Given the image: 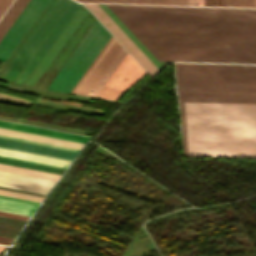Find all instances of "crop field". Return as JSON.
I'll return each instance as SVG.
<instances>
[{
  "label": "crop field",
  "instance_id": "obj_1",
  "mask_svg": "<svg viewBox=\"0 0 256 256\" xmlns=\"http://www.w3.org/2000/svg\"><path fill=\"white\" fill-rule=\"evenodd\" d=\"M176 69L185 155L256 158V65Z\"/></svg>",
  "mask_w": 256,
  "mask_h": 256
},
{
  "label": "crop field",
  "instance_id": "obj_2",
  "mask_svg": "<svg viewBox=\"0 0 256 256\" xmlns=\"http://www.w3.org/2000/svg\"><path fill=\"white\" fill-rule=\"evenodd\" d=\"M106 5L158 60L256 63V9Z\"/></svg>",
  "mask_w": 256,
  "mask_h": 256
},
{
  "label": "crop field",
  "instance_id": "obj_3",
  "mask_svg": "<svg viewBox=\"0 0 256 256\" xmlns=\"http://www.w3.org/2000/svg\"><path fill=\"white\" fill-rule=\"evenodd\" d=\"M71 3L72 0H49L0 66V79L14 81Z\"/></svg>",
  "mask_w": 256,
  "mask_h": 256
},
{
  "label": "crop field",
  "instance_id": "obj_4",
  "mask_svg": "<svg viewBox=\"0 0 256 256\" xmlns=\"http://www.w3.org/2000/svg\"><path fill=\"white\" fill-rule=\"evenodd\" d=\"M95 20L81 5L25 83L47 87Z\"/></svg>",
  "mask_w": 256,
  "mask_h": 256
},
{
  "label": "crop field",
  "instance_id": "obj_5",
  "mask_svg": "<svg viewBox=\"0 0 256 256\" xmlns=\"http://www.w3.org/2000/svg\"><path fill=\"white\" fill-rule=\"evenodd\" d=\"M110 36L96 20L47 89L71 91Z\"/></svg>",
  "mask_w": 256,
  "mask_h": 256
},
{
  "label": "crop field",
  "instance_id": "obj_6",
  "mask_svg": "<svg viewBox=\"0 0 256 256\" xmlns=\"http://www.w3.org/2000/svg\"><path fill=\"white\" fill-rule=\"evenodd\" d=\"M126 53L111 36L72 92L96 96Z\"/></svg>",
  "mask_w": 256,
  "mask_h": 256
},
{
  "label": "crop field",
  "instance_id": "obj_7",
  "mask_svg": "<svg viewBox=\"0 0 256 256\" xmlns=\"http://www.w3.org/2000/svg\"><path fill=\"white\" fill-rule=\"evenodd\" d=\"M146 72L127 53L97 97L117 101Z\"/></svg>",
  "mask_w": 256,
  "mask_h": 256
},
{
  "label": "crop field",
  "instance_id": "obj_8",
  "mask_svg": "<svg viewBox=\"0 0 256 256\" xmlns=\"http://www.w3.org/2000/svg\"><path fill=\"white\" fill-rule=\"evenodd\" d=\"M48 0H31L0 41V60L4 61Z\"/></svg>",
  "mask_w": 256,
  "mask_h": 256
},
{
  "label": "crop field",
  "instance_id": "obj_9",
  "mask_svg": "<svg viewBox=\"0 0 256 256\" xmlns=\"http://www.w3.org/2000/svg\"><path fill=\"white\" fill-rule=\"evenodd\" d=\"M83 4L96 16V18L111 32V34L126 48V50L146 71L152 74L159 71L97 4Z\"/></svg>",
  "mask_w": 256,
  "mask_h": 256
},
{
  "label": "crop field",
  "instance_id": "obj_10",
  "mask_svg": "<svg viewBox=\"0 0 256 256\" xmlns=\"http://www.w3.org/2000/svg\"><path fill=\"white\" fill-rule=\"evenodd\" d=\"M81 4L73 1L14 82L23 84Z\"/></svg>",
  "mask_w": 256,
  "mask_h": 256
},
{
  "label": "crop field",
  "instance_id": "obj_11",
  "mask_svg": "<svg viewBox=\"0 0 256 256\" xmlns=\"http://www.w3.org/2000/svg\"><path fill=\"white\" fill-rule=\"evenodd\" d=\"M54 181L27 177L0 171V185L47 194Z\"/></svg>",
  "mask_w": 256,
  "mask_h": 256
},
{
  "label": "crop field",
  "instance_id": "obj_12",
  "mask_svg": "<svg viewBox=\"0 0 256 256\" xmlns=\"http://www.w3.org/2000/svg\"><path fill=\"white\" fill-rule=\"evenodd\" d=\"M0 146L11 148V149L27 151V152L43 154V155L59 157V158H65L70 160H73V158L77 154L76 151L65 150V149L33 144V143H28L23 141H17V140L1 138V137H0Z\"/></svg>",
  "mask_w": 256,
  "mask_h": 256
},
{
  "label": "crop field",
  "instance_id": "obj_13",
  "mask_svg": "<svg viewBox=\"0 0 256 256\" xmlns=\"http://www.w3.org/2000/svg\"><path fill=\"white\" fill-rule=\"evenodd\" d=\"M0 155L17 158V159L33 161V162H38V163H43V164L64 167V168H67L68 165L71 163L70 160L59 159V158H54V157H49V156H43V155H38V154H33V153H27V152H22V151H17V150H11V149L1 148V147H0Z\"/></svg>",
  "mask_w": 256,
  "mask_h": 256
},
{
  "label": "crop field",
  "instance_id": "obj_14",
  "mask_svg": "<svg viewBox=\"0 0 256 256\" xmlns=\"http://www.w3.org/2000/svg\"><path fill=\"white\" fill-rule=\"evenodd\" d=\"M0 121L7 122V121H2V120H0ZM1 122H0V127H3V128L19 130V131H24V132L34 133V134H40V135H45V136H50V137H55V138H61V139H66V140H71V141H77V142H82V143H86V141L88 140L87 138H90L87 136L76 135V134H71V133H66V132H60V131H55V130H50V129H44V128H39V127H34V126H28V125H23V124H18V123L7 122V123H12V124L23 125V126L39 128V129H44V130H49V131H55V132H60V133H65V134H71V135L87 137V138H81V137H76V136H71V135H65V134H60V133H55V132H49V131H44V130H39V129H33V128H28V127H23V126L1 123Z\"/></svg>",
  "mask_w": 256,
  "mask_h": 256
},
{
  "label": "crop field",
  "instance_id": "obj_15",
  "mask_svg": "<svg viewBox=\"0 0 256 256\" xmlns=\"http://www.w3.org/2000/svg\"><path fill=\"white\" fill-rule=\"evenodd\" d=\"M0 134L29 139V140H35V141H40V142H45L50 144H56V145H61L66 147H72L77 149H80L81 146L83 145L82 143L71 142V141L39 136V135H34L29 133H23V132H18L13 130H7L2 128H0Z\"/></svg>",
  "mask_w": 256,
  "mask_h": 256
},
{
  "label": "crop field",
  "instance_id": "obj_16",
  "mask_svg": "<svg viewBox=\"0 0 256 256\" xmlns=\"http://www.w3.org/2000/svg\"><path fill=\"white\" fill-rule=\"evenodd\" d=\"M30 0H15L0 20V39Z\"/></svg>",
  "mask_w": 256,
  "mask_h": 256
},
{
  "label": "crop field",
  "instance_id": "obj_17",
  "mask_svg": "<svg viewBox=\"0 0 256 256\" xmlns=\"http://www.w3.org/2000/svg\"><path fill=\"white\" fill-rule=\"evenodd\" d=\"M98 5L121 28V30L136 44V46L152 61V63L160 70L163 66L141 44V42L126 28V26L111 12V10L105 4H98Z\"/></svg>",
  "mask_w": 256,
  "mask_h": 256
},
{
  "label": "crop field",
  "instance_id": "obj_18",
  "mask_svg": "<svg viewBox=\"0 0 256 256\" xmlns=\"http://www.w3.org/2000/svg\"><path fill=\"white\" fill-rule=\"evenodd\" d=\"M0 170L6 171V172L22 174V175H27V176L43 178V179L54 180V181H57V179L60 177L59 174L48 173V172H43V171H38V170H32V169H27V168H22V167H16V166H11V165H6V164H0Z\"/></svg>",
  "mask_w": 256,
  "mask_h": 256
},
{
  "label": "crop field",
  "instance_id": "obj_19",
  "mask_svg": "<svg viewBox=\"0 0 256 256\" xmlns=\"http://www.w3.org/2000/svg\"><path fill=\"white\" fill-rule=\"evenodd\" d=\"M36 208V205L0 199V211L30 216Z\"/></svg>",
  "mask_w": 256,
  "mask_h": 256
},
{
  "label": "crop field",
  "instance_id": "obj_20",
  "mask_svg": "<svg viewBox=\"0 0 256 256\" xmlns=\"http://www.w3.org/2000/svg\"><path fill=\"white\" fill-rule=\"evenodd\" d=\"M0 163H6V164H11V165H16V166H22V167H27V168H32V169H38V170H43V171H48V172L59 173V174H62L63 171L65 170L64 168L43 165V164H38V163H33V162H28V161H23V160H17V159H12V158H7V157H1V156H0Z\"/></svg>",
  "mask_w": 256,
  "mask_h": 256
},
{
  "label": "crop field",
  "instance_id": "obj_21",
  "mask_svg": "<svg viewBox=\"0 0 256 256\" xmlns=\"http://www.w3.org/2000/svg\"><path fill=\"white\" fill-rule=\"evenodd\" d=\"M149 4H168V0H149ZM169 4L188 5V0H169Z\"/></svg>",
  "mask_w": 256,
  "mask_h": 256
},
{
  "label": "crop field",
  "instance_id": "obj_22",
  "mask_svg": "<svg viewBox=\"0 0 256 256\" xmlns=\"http://www.w3.org/2000/svg\"><path fill=\"white\" fill-rule=\"evenodd\" d=\"M235 6L254 7V0H235Z\"/></svg>",
  "mask_w": 256,
  "mask_h": 256
},
{
  "label": "crop field",
  "instance_id": "obj_23",
  "mask_svg": "<svg viewBox=\"0 0 256 256\" xmlns=\"http://www.w3.org/2000/svg\"><path fill=\"white\" fill-rule=\"evenodd\" d=\"M205 5L227 6V0H205Z\"/></svg>",
  "mask_w": 256,
  "mask_h": 256
},
{
  "label": "crop field",
  "instance_id": "obj_24",
  "mask_svg": "<svg viewBox=\"0 0 256 256\" xmlns=\"http://www.w3.org/2000/svg\"><path fill=\"white\" fill-rule=\"evenodd\" d=\"M11 2L12 0H0V16L3 14V12L6 10Z\"/></svg>",
  "mask_w": 256,
  "mask_h": 256
},
{
  "label": "crop field",
  "instance_id": "obj_25",
  "mask_svg": "<svg viewBox=\"0 0 256 256\" xmlns=\"http://www.w3.org/2000/svg\"><path fill=\"white\" fill-rule=\"evenodd\" d=\"M0 215L7 216V217L18 218V219H24V220H27V218H28L27 216L16 215V214H11V213H6V212H0Z\"/></svg>",
  "mask_w": 256,
  "mask_h": 256
},
{
  "label": "crop field",
  "instance_id": "obj_26",
  "mask_svg": "<svg viewBox=\"0 0 256 256\" xmlns=\"http://www.w3.org/2000/svg\"><path fill=\"white\" fill-rule=\"evenodd\" d=\"M0 136H2V137H7V138H12V139H17V140H23V141H28V142H33V143H39V144H44V145L55 146V147H60V148H65V149H71V150H76V151H78L77 149H72V148H66V147H61V146H56V145H50V144H45V143H40V142H35V141H29V140L14 138V137H8V136H3V135H0Z\"/></svg>",
  "mask_w": 256,
  "mask_h": 256
},
{
  "label": "crop field",
  "instance_id": "obj_27",
  "mask_svg": "<svg viewBox=\"0 0 256 256\" xmlns=\"http://www.w3.org/2000/svg\"><path fill=\"white\" fill-rule=\"evenodd\" d=\"M0 198H4V199H9V200H15V201H20V202H25V203H31V204L39 205L38 202L27 201V200H22V199H17V198H11V197L1 196V195H0Z\"/></svg>",
  "mask_w": 256,
  "mask_h": 256
},
{
  "label": "crop field",
  "instance_id": "obj_28",
  "mask_svg": "<svg viewBox=\"0 0 256 256\" xmlns=\"http://www.w3.org/2000/svg\"><path fill=\"white\" fill-rule=\"evenodd\" d=\"M101 2H111V3H132V0H101Z\"/></svg>",
  "mask_w": 256,
  "mask_h": 256
},
{
  "label": "crop field",
  "instance_id": "obj_29",
  "mask_svg": "<svg viewBox=\"0 0 256 256\" xmlns=\"http://www.w3.org/2000/svg\"><path fill=\"white\" fill-rule=\"evenodd\" d=\"M13 241L12 238L2 237L0 236V243L10 245Z\"/></svg>",
  "mask_w": 256,
  "mask_h": 256
},
{
  "label": "crop field",
  "instance_id": "obj_30",
  "mask_svg": "<svg viewBox=\"0 0 256 256\" xmlns=\"http://www.w3.org/2000/svg\"><path fill=\"white\" fill-rule=\"evenodd\" d=\"M133 3L148 4V0H133Z\"/></svg>",
  "mask_w": 256,
  "mask_h": 256
},
{
  "label": "crop field",
  "instance_id": "obj_31",
  "mask_svg": "<svg viewBox=\"0 0 256 256\" xmlns=\"http://www.w3.org/2000/svg\"><path fill=\"white\" fill-rule=\"evenodd\" d=\"M228 6H234V0H228Z\"/></svg>",
  "mask_w": 256,
  "mask_h": 256
},
{
  "label": "crop field",
  "instance_id": "obj_32",
  "mask_svg": "<svg viewBox=\"0 0 256 256\" xmlns=\"http://www.w3.org/2000/svg\"><path fill=\"white\" fill-rule=\"evenodd\" d=\"M197 5H204V0H197Z\"/></svg>",
  "mask_w": 256,
  "mask_h": 256
},
{
  "label": "crop field",
  "instance_id": "obj_33",
  "mask_svg": "<svg viewBox=\"0 0 256 256\" xmlns=\"http://www.w3.org/2000/svg\"><path fill=\"white\" fill-rule=\"evenodd\" d=\"M82 2H85V0H82ZM86 2H100V0H86Z\"/></svg>",
  "mask_w": 256,
  "mask_h": 256
},
{
  "label": "crop field",
  "instance_id": "obj_34",
  "mask_svg": "<svg viewBox=\"0 0 256 256\" xmlns=\"http://www.w3.org/2000/svg\"><path fill=\"white\" fill-rule=\"evenodd\" d=\"M196 4V0H189V5H195Z\"/></svg>",
  "mask_w": 256,
  "mask_h": 256
},
{
  "label": "crop field",
  "instance_id": "obj_35",
  "mask_svg": "<svg viewBox=\"0 0 256 256\" xmlns=\"http://www.w3.org/2000/svg\"><path fill=\"white\" fill-rule=\"evenodd\" d=\"M3 249H5V247H3V246H0V251H1V250H3Z\"/></svg>",
  "mask_w": 256,
  "mask_h": 256
},
{
  "label": "crop field",
  "instance_id": "obj_36",
  "mask_svg": "<svg viewBox=\"0 0 256 256\" xmlns=\"http://www.w3.org/2000/svg\"><path fill=\"white\" fill-rule=\"evenodd\" d=\"M255 5H256V1H255Z\"/></svg>",
  "mask_w": 256,
  "mask_h": 256
}]
</instances>
